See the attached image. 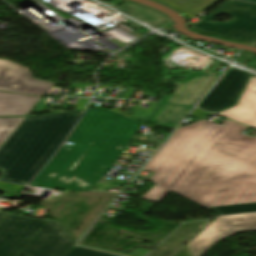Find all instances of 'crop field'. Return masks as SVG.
<instances>
[{"label": "crop field", "mask_w": 256, "mask_h": 256, "mask_svg": "<svg viewBox=\"0 0 256 256\" xmlns=\"http://www.w3.org/2000/svg\"><path fill=\"white\" fill-rule=\"evenodd\" d=\"M245 128L227 119L178 128L143 168L156 185L140 199L158 203L224 130L173 192L218 215L256 211V137L241 134Z\"/></svg>", "instance_id": "crop-field-1"}, {"label": "crop field", "mask_w": 256, "mask_h": 256, "mask_svg": "<svg viewBox=\"0 0 256 256\" xmlns=\"http://www.w3.org/2000/svg\"><path fill=\"white\" fill-rule=\"evenodd\" d=\"M139 124L106 111L86 110L63 146L30 185L90 190L121 154Z\"/></svg>", "instance_id": "crop-field-2"}, {"label": "crop field", "mask_w": 256, "mask_h": 256, "mask_svg": "<svg viewBox=\"0 0 256 256\" xmlns=\"http://www.w3.org/2000/svg\"><path fill=\"white\" fill-rule=\"evenodd\" d=\"M74 244L57 221L0 212V256H65Z\"/></svg>", "instance_id": "crop-field-3"}, {"label": "crop field", "mask_w": 256, "mask_h": 256, "mask_svg": "<svg viewBox=\"0 0 256 256\" xmlns=\"http://www.w3.org/2000/svg\"><path fill=\"white\" fill-rule=\"evenodd\" d=\"M81 112L82 110L43 116V119L55 118L1 180L28 184L67 137Z\"/></svg>", "instance_id": "crop-field-4"}, {"label": "crop field", "mask_w": 256, "mask_h": 256, "mask_svg": "<svg viewBox=\"0 0 256 256\" xmlns=\"http://www.w3.org/2000/svg\"><path fill=\"white\" fill-rule=\"evenodd\" d=\"M218 13L229 14L232 17L231 21L213 23L211 20ZM189 29L250 44L256 41V4L228 0Z\"/></svg>", "instance_id": "crop-field-5"}, {"label": "crop field", "mask_w": 256, "mask_h": 256, "mask_svg": "<svg viewBox=\"0 0 256 256\" xmlns=\"http://www.w3.org/2000/svg\"><path fill=\"white\" fill-rule=\"evenodd\" d=\"M219 67H216L210 74L196 73L190 74L187 79L181 84V86L175 91V93L169 98V100L163 105L160 111L153 118L151 123H156L168 112L186 115L194 104L203 96V94L214 84V82L220 77L221 73L216 72ZM200 75L201 78L197 79ZM168 98L164 97L159 107L153 113L158 111L161 105ZM166 107H168L163 113H161ZM148 120V122L151 120Z\"/></svg>", "instance_id": "crop-field-6"}, {"label": "crop field", "mask_w": 256, "mask_h": 256, "mask_svg": "<svg viewBox=\"0 0 256 256\" xmlns=\"http://www.w3.org/2000/svg\"><path fill=\"white\" fill-rule=\"evenodd\" d=\"M249 231H256V213L218 217L187 245L193 256H201L218 240Z\"/></svg>", "instance_id": "crop-field-7"}, {"label": "crop field", "mask_w": 256, "mask_h": 256, "mask_svg": "<svg viewBox=\"0 0 256 256\" xmlns=\"http://www.w3.org/2000/svg\"><path fill=\"white\" fill-rule=\"evenodd\" d=\"M53 119V118H52ZM52 119L26 118L0 147V179L28 149Z\"/></svg>", "instance_id": "crop-field-8"}, {"label": "crop field", "mask_w": 256, "mask_h": 256, "mask_svg": "<svg viewBox=\"0 0 256 256\" xmlns=\"http://www.w3.org/2000/svg\"><path fill=\"white\" fill-rule=\"evenodd\" d=\"M248 75L232 67L197 107L217 112L235 104Z\"/></svg>", "instance_id": "crop-field-9"}, {"label": "crop field", "mask_w": 256, "mask_h": 256, "mask_svg": "<svg viewBox=\"0 0 256 256\" xmlns=\"http://www.w3.org/2000/svg\"><path fill=\"white\" fill-rule=\"evenodd\" d=\"M52 85L53 83L33 79L27 69L0 60V90L43 97Z\"/></svg>", "instance_id": "crop-field-10"}, {"label": "crop field", "mask_w": 256, "mask_h": 256, "mask_svg": "<svg viewBox=\"0 0 256 256\" xmlns=\"http://www.w3.org/2000/svg\"><path fill=\"white\" fill-rule=\"evenodd\" d=\"M217 114L256 128V78L251 76L237 106Z\"/></svg>", "instance_id": "crop-field-11"}, {"label": "crop field", "mask_w": 256, "mask_h": 256, "mask_svg": "<svg viewBox=\"0 0 256 256\" xmlns=\"http://www.w3.org/2000/svg\"><path fill=\"white\" fill-rule=\"evenodd\" d=\"M40 99L0 92V116H27Z\"/></svg>", "instance_id": "crop-field-12"}, {"label": "crop field", "mask_w": 256, "mask_h": 256, "mask_svg": "<svg viewBox=\"0 0 256 256\" xmlns=\"http://www.w3.org/2000/svg\"><path fill=\"white\" fill-rule=\"evenodd\" d=\"M184 13L189 19L200 13L216 0H159Z\"/></svg>", "instance_id": "crop-field-13"}, {"label": "crop field", "mask_w": 256, "mask_h": 256, "mask_svg": "<svg viewBox=\"0 0 256 256\" xmlns=\"http://www.w3.org/2000/svg\"><path fill=\"white\" fill-rule=\"evenodd\" d=\"M25 118H0V146Z\"/></svg>", "instance_id": "crop-field-14"}, {"label": "crop field", "mask_w": 256, "mask_h": 256, "mask_svg": "<svg viewBox=\"0 0 256 256\" xmlns=\"http://www.w3.org/2000/svg\"><path fill=\"white\" fill-rule=\"evenodd\" d=\"M66 256H116L96 250L73 246Z\"/></svg>", "instance_id": "crop-field-15"}, {"label": "crop field", "mask_w": 256, "mask_h": 256, "mask_svg": "<svg viewBox=\"0 0 256 256\" xmlns=\"http://www.w3.org/2000/svg\"><path fill=\"white\" fill-rule=\"evenodd\" d=\"M78 244L79 245H83V246H87V247H91V248H95V249H99V250H103V251H107V252H111V253L126 255V256H144L145 254H147L149 252L148 250L136 248L130 254H126V253L117 252V251H113V250H109V249H104V248H100V247H95V246H90V245H86V244H81V243H78Z\"/></svg>", "instance_id": "crop-field-16"}, {"label": "crop field", "mask_w": 256, "mask_h": 256, "mask_svg": "<svg viewBox=\"0 0 256 256\" xmlns=\"http://www.w3.org/2000/svg\"><path fill=\"white\" fill-rule=\"evenodd\" d=\"M23 186L0 182V191L18 194Z\"/></svg>", "instance_id": "crop-field-17"}, {"label": "crop field", "mask_w": 256, "mask_h": 256, "mask_svg": "<svg viewBox=\"0 0 256 256\" xmlns=\"http://www.w3.org/2000/svg\"><path fill=\"white\" fill-rule=\"evenodd\" d=\"M209 114H211V113H208V112H205L203 110L195 108L194 111L191 113L190 117L198 119V118H202V117H204L206 115H209Z\"/></svg>", "instance_id": "crop-field-18"}, {"label": "crop field", "mask_w": 256, "mask_h": 256, "mask_svg": "<svg viewBox=\"0 0 256 256\" xmlns=\"http://www.w3.org/2000/svg\"><path fill=\"white\" fill-rule=\"evenodd\" d=\"M243 1L256 2V0H243Z\"/></svg>", "instance_id": "crop-field-19"}, {"label": "crop field", "mask_w": 256, "mask_h": 256, "mask_svg": "<svg viewBox=\"0 0 256 256\" xmlns=\"http://www.w3.org/2000/svg\"><path fill=\"white\" fill-rule=\"evenodd\" d=\"M215 141H216V140H215ZM199 160H200V159H199ZM199 160H198V161H199ZM198 161H197V162H198ZM197 162H196V163H197ZM196 163H195V164H196ZM192 168H193V167H192ZM192 168H191V169H192ZM191 169H190V170H191ZM190 170H189V171H190ZM189 171H188V172H189ZM183 178H184V177H183ZM183 178H182V179H183ZM182 179H181V180H182ZM174 188H175V187H174Z\"/></svg>", "instance_id": "crop-field-20"}]
</instances>
